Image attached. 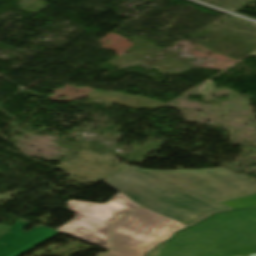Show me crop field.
Masks as SVG:
<instances>
[{
    "label": "crop field",
    "mask_w": 256,
    "mask_h": 256,
    "mask_svg": "<svg viewBox=\"0 0 256 256\" xmlns=\"http://www.w3.org/2000/svg\"><path fill=\"white\" fill-rule=\"evenodd\" d=\"M163 246H164L163 244L159 245V246H158L157 248H155L153 251H151L150 253H148L147 256H156V255L159 253V251L162 249Z\"/></svg>",
    "instance_id": "e52e79f7"
},
{
    "label": "crop field",
    "mask_w": 256,
    "mask_h": 256,
    "mask_svg": "<svg viewBox=\"0 0 256 256\" xmlns=\"http://www.w3.org/2000/svg\"><path fill=\"white\" fill-rule=\"evenodd\" d=\"M220 204H223L233 209L256 207V194L222 202Z\"/></svg>",
    "instance_id": "dd49c442"
},
{
    "label": "crop field",
    "mask_w": 256,
    "mask_h": 256,
    "mask_svg": "<svg viewBox=\"0 0 256 256\" xmlns=\"http://www.w3.org/2000/svg\"><path fill=\"white\" fill-rule=\"evenodd\" d=\"M136 206V203L120 193L104 205L68 201L69 210L76 212L77 215L58 231L109 250L110 222L107 221L119 218Z\"/></svg>",
    "instance_id": "412701ff"
},
{
    "label": "crop field",
    "mask_w": 256,
    "mask_h": 256,
    "mask_svg": "<svg viewBox=\"0 0 256 256\" xmlns=\"http://www.w3.org/2000/svg\"><path fill=\"white\" fill-rule=\"evenodd\" d=\"M256 255V209L214 215L176 234L158 256Z\"/></svg>",
    "instance_id": "ac0d7876"
},
{
    "label": "crop field",
    "mask_w": 256,
    "mask_h": 256,
    "mask_svg": "<svg viewBox=\"0 0 256 256\" xmlns=\"http://www.w3.org/2000/svg\"><path fill=\"white\" fill-rule=\"evenodd\" d=\"M7 229H8V227H5V226L0 225V235H1L4 231H6Z\"/></svg>",
    "instance_id": "d8731c3e"
},
{
    "label": "crop field",
    "mask_w": 256,
    "mask_h": 256,
    "mask_svg": "<svg viewBox=\"0 0 256 256\" xmlns=\"http://www.w3.org/2000/svg\"><path fill=\"white\" fill-rule=\"evenodd\" d=\"M28 222L19 220L0 236V256H19L44 241L59 234V232L44 226H37L25 233L21 231Z\"/></svg>",
    "instance_id": "f4fd0767"
},
{
    "label": "crop field",
    "mask_w": 256,
    "mask_h": 256,
    "mask_svg": "<svg viewBox=\"0 0 256 256\" xmlns=\"http://www.w3.org/2000/svg\"><path fill=\"white\" fill-rule=\"evenodd\" d=\"M184 227L187 226L140 207L113 222L111 252L104 255L144 256Z\"/></svg>",
    "instance_id": "34b2d1b8"
},
{
    "label": "crop field",
    "mask_w": 256,
    "mask_h": 256,
    "mask_svg": "<svg viewBox=\"0 0 256 256\" xmlns=\"http://www.w3.org/2000/svg\"><path fill=\"white\" fill-rule=\"evenodd\" d=\"M140 206L192 225L221 211L218 202L256 193V182L218 169L142 170L128 166L103 180Z\"/></svg>",
    "instance_id": "8a807250"
}]
</instances>
